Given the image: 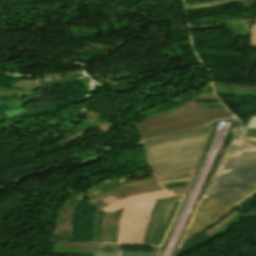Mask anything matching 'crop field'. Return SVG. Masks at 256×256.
Masks as SVG:
<instances>
[{
  "label": "crop field",
  "instance_id": "crop-field-1",
  "mask_svg": "<svg viewBox=\"0 0 256 256\" xmlns=\"http://www.w3.org/2000/svg\"><path fill=\"white\" fill-rule=\"evenodd\" d=\"M212 183L206 195L227 202L256 183V149L235 138Z\"/></svg>",
  "mask_w": 256,
  "mask_h": 256
},
{
  "label": "crop field",
  "instance_id": "crop-field-2",
  "mask_svg": "<svg viewBox=\"0 0 256 256\" xmlns=\"http://www.w3.org/2000/svg\"><path fill=\"white\" fill-rule=\"evenodd\" d=\"M210 133L145 146L149 163L156 176L196 166Z\"/></svg>",
  "mask_w": 256,
  "mask_h": 256
},
{
  "label": "crop field",
  "instance_id": "crop-field-3",
  "mask_svg": "<svg viewBox=\"0 0 256 256\" xmlns=\"http://www.w3.org/2000/svg\"><path fill=\"white\" fill-rule=\"evenodd\" d=\"M230 117L234 116L227 110L197 109L192 100L181 108L143 121L139 130L145 140Z\"/></svg>",
  "mask_w": 256,
  "mask_h": 256
},
{
  "label": "crop field",
  "instance_id": "crop-field-4",
  "mask_svg": "<svg viewBox=\"0 0 256 256\" xmlns=\"http://www.w3.org/2000/svg\"><path fill=\"white\" fill-rule=\"evenodd\" d=\"M183 196L158 199L148 218L142 244H161Z\"/></svg>",
  "mask_w": 256,
  "mask_h": 256
},
{
  "label": "crop field",
  "instance_id": "crop-field-5",
  "mask_svg": "<svg viewBox=\"0 0 256 256\" xmlns=\"http://www.w3.org/2000/svg\"><path fill=\"white\" fill-rule=\"evenodd\" d=\"M154 201L134 204L124 209L118 243L141 244L146 221Z\"/></svg>",
  "mask_w": 256,
  "mask_h": 256
},
{
  "label": "crop field",
  "instance_id": "crop-field-6",
  "mask_svg": "<svg viewBox=\"0 0 256 256\" xmlns=\"http://www.w3.org/2000/svg\"><path fill=\"white\" fill-rule=\"evenodd\" d=\"M235 209L236 207L224 201L215 200L208 197V199L198 212L183 243L192 239L195 235L210 227L213 223L217 222Z\"/></svg>",
  "mask_w": 256,
  "mask_h": 256
},
{
  "label": "crop field",
  "instance_id": "crop-field-7",
  "mask_svg": "<svg viewBox=\"0 0 256 256\" xmlns=\"http://www.w3.org/2000/svg\"><path fill=\"white\" fill-rule=\"evenodd\" d=\"M169 196H173V195H171L167 191L150 193V194L137 196V197H132V198H128V199L118 201V202L106 207L103 210L108 211V212H112L116 209L122 208L124 206L130 205V204L138 202V201L150 200V199L161 198V197H169Z\"/></svg>",
  "mask_w": 256,
  "mask_h": 256
},
{
  "label": "crop field",
  "instance_id": "crop-field-8",
  "mask_svg": "<svg viewBox=\"0 0 256 256\" xmlns=\"http://www.w3.org/2000/svg\"><path fill=\"white\" fill-rule=\"evenodd\" d=\"M241 139L244 142L256 147V116L255 115L251 116L248 124L244 128Z\"/></svg>",
  "mask_w": 256,
  "mask_h": 256
},
{
  "label": "crop field",
  "instance_id": "crop-field-9",
  "mask_svg": "<svg viewBox=\"0 0 256 256\" xmlns=\"http://www.w3.org/2000/svg\"><path fill=\"white\" fill-rule=\"evenodd\" d=\"M163 190H165V189L162 188L159 184H156V185L141 187V188L129 190L126 192H122V193H120V195H121L122 199H124V198L137 196V195H141V194H145V193H149V192L163 191Z\"/></svg>",
  "mask_w": 256,
  "mask_h": 256
},
{
  "label": "crop field",
  "instance_id": "crop-field-10",
  "mask_svg": "<svg viewBox=\"0 0 256 256\" xmlns=\"http://www.w3.org/2000/svg\"><path fill=\"white\" fill-rule=\"evenodd\" d=\"M118 200H121V197H120L119 193H117V194H115L111 197H108V198H106V199H104V200H102V201H100V202H98L94 205H96L98 208H100L102 210L103 208H105L109 204H111L115 201H118Z\"/></svg>",
  "mask_w": 256,
  "mask_h": 256
},
{
  "label": "crop field",
  "instance_id": "crop-field-11",
  "mask_svg": "<svg viewBox=\"0 0 256 256\" xmlns=\"http://www.w3.org/2000/svg\"><path fill=\"white\" fill-rule=\"evenodd\" d=\"M248 47L256 48V26L250 27Z\"/></svg>",
  "mask_w": 256,
  "mask_h": 256
},
{
  "label": "crop field",
  "instance_id": "crop-field-12",
  "mask_svg": "<svg viewBox=\"0 0 256 256\" xmlns=\"http://www.w3.org/2000/svg\"><path fill=\"white\" fill-rule=\"evenodd\" d=\"M157 253L123 251L121 256H156Z\"/></svg>",
  "mask_w": 256,
  "mask_h": 256
},
{
  "label": "crop field",
  "instance_id": "crop-field-13",
  "mask_svg": "<svg viewBox=\"0 0 256 256\" xmlns=\"http://www.w3.org/2000/svg\"><path fill=\"white\" fill-rule=\"evenodd\" d=\"M120 253L95 252L94 256H119Z\"/></svg>",
  "mask_w": 256,
  "mask_h": 256
},
{
  "label": "crop field",
  "instance_id": "crop-field-14",
  "mask_svg": "<svg viewBox=\"0 0 256 256\" xmlns=\"http://www.w3.org/2000/svg\"><path fill=\"white\" fill-rule=\"evenodd\" d=\"M255 198H256V196L253 199H255Z\"/></svg>",
  "mask_w": 256,
  "mask_h": 256
}]
</instances>
